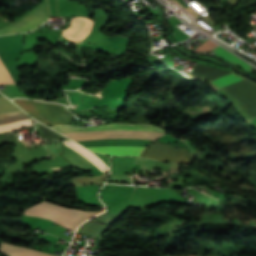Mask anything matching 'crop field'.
Instances as JSON below:
<instances>
[{"label": "crop field", "instance_id": "1", "mask_svg": "<svg viewBox=\"0 0 256 256\" xmlns=\"http://www.w3.org/2000/svg\"><path fill=\"white\" fill-rule=\"evenodd\" d=\"M51 128L60 133L97 131V130H115V129L163 131L155 126L146 125V124H122V123H116L112 125H102L98 127H87V128H76V127H65V126H54ZM98 133H151V134H161V135L165 134L162 132H151V131L116 130V131L68 133L64 135L67 137H71V136H78V135H85V134H98ZM88 149L91 152L103 154L107 156H111V155L139 156V154L143 150V148H132V147H94V148H88Z\"/></svg>", "mask_w": 256, "mask_h": 256}, {"label": "crop field", "instance_id": "2", "mask_svg": "<svg viewBox=\"0 0 256 256\" xmlns=\"http://www.w3.org/2000/svg\"><path fill=\"white\" fill-rule=\"evenodd\" d=\"M100 213L101 212L65 209L48 202H42L26 211H23V214L50 219L63 227L74 230L86 219Z\"/></svg>", "mask_w": 256, "mask_h": 256}, {"label": "crop field", "instance_id": "3", "mask_svg": "<svg viewBox=\"0 0 256 256\" xmlns=\"http://www.w3.org/2000/svg\"><path fill=\"white\" fill-rule=\"evenodd\" d=\"M12 101L42 123L46 122L51 125L63 124L68 126L74 116L61 105L46 104L23 99H15Z\"/></svg>", "mask_w": 256, "mask_h": 256}, {"label": "crop field", "instance_id": "4", "mask_svg": "<svg viewBox=\"0 0 256 256\" xmlns=\"http://www.w3.org/2000/svg\"><path fill=\"white\" fill-rule=\"evenodd\" d=\"M142 156L171 162H183L191 159L188 149L159 142H154L146 148Z\"/></svg>", "mask_w": 256, "mask_h": 256}, {"label": "crop field", "instance_id": "5", "mask_svg": "<svg viewBox=\"0 0 256 256\" xmlns=\"http://www.w3.org/2000/svg\"><path fill=\"white\" fill-rule=\"evenodd\" d=\"M225 89L243 103L251 117L256 116V85L245 79Z\"/></svg>", "mask_w": 256, "mask_h": 256}, {"label": "crop field", "instance_id": "6", "mask_svg": "<svg viewBox=\"0 0 256 256\" xmlns=\"http://www.w3.org/2000/svg\"><path fill=\"white\" fill-rule=\"evenodd\" d=\"M47 21L44 10V2L31 12L27 13L13 24L0 31V34L29 31Z\"/></svg>", "mask_w": 256, "mask_h": 256}, {"label": "crop field", "instance_id": "7", "mask_svg": "<svg viewBox=\"0 0 256 256\" xmlns=\"http://www.w3.org/2000/svg\"><path fill=\"white\" fill-rule=\"evenodd\" d=\"M32 122L20 110L0 114V130ZM12 131V130H10Z\"/></svg>", "mask_w": 256, "mask_h": 256}, {"label": "crop field", "instance_id": "8", "mask_svg": "<svg viewBox=\"0 0 256 256\" xmlns=\"http://www.w3.org/2000/svg\"><path fill=\"white\" fill-rule=\"evenodd\" d=\"M100 187L98 186H83L78 188V198L80 201L94 204V205H102L97 197V193Z\"/></svg>", "mask_w": 256, "mask_h": 256}, {"label": "crop field", "instance_id": "9", "mask_svg": "<svg viewBox=\"0 0 256 256\" xmlns=\"http://www.w3.org/2000/svg\"><path fill=\"white\" fill-rule=\"evenodd\" d=\"M1 250L5 251L10 256H54V255L37 252V251L29 250L26 248L16 247L8 244H4Z\"/></svg>", "mask_w": 256, "mask_h": 256}, {"label": "crop field", "instance_id": "10", "mask_svg": "<svg viewBox=\"0 0 256 256\" xmlns=\"http://www.w3.org/2000/svg\"><path fill=\"white\" fill-rule=\"evenodd\" d=\"M106 229L107 227L101 226L93 222H88L82 225L77 233L100 237Z\"/></svg>", "mask_w": 256, "mask_h": 256}, {"label": "crop field", "instance_id": "11", "mask_svg": "<svg viewBox=\"0 0 256 256\" xmlns=\"http://www.w3.org/2000/svg\"><path fill=\"white\" fill-rule=\"evenodd\" d=\"M245 78H242L240 76H237L233 73L228 74L226 76L220 77L218 79L210 81L211 85L214 87L215 90L225 87L227 85H230L232 83H235L237 81L243 80Z\"/></svg>", "mask_w": 256, "mask_h": 256}, {"label": "crop field", "instance_id": "12", "mask_svg": "<svg viewBox=\"0 0 256 256\" xmlns=\"http://www.w3.org/2000/svg\"><path fill=\"white\" fill-rule=\"evenodd\" d=\"M215 54L247 69L250 71L251 67L250 65H248L247 63H245L244 61L240 60L239 58H237L236 56L232 55L231 53L225 51L224 49L220 48L219 46L216 47L215 49L212 50Z\"/></svg>", "mask_w": 256, "mask_h": 256}, {"label": "crop field", "instance_id": "13", "mask_svg": "<svg viewBox=\"0 0 256 256\" xmlns=\"http://www.w3.org/2000/svg\"><path fill=\"white\" fill-rule=\"evenodd\" d=\"M65 144H68L70 146H72L73 148H75L77 151H79L81 154H83L84 156H86L87 158H89L90 160H92L94 163H96L100 169L104 172L105 170H107V168L104 166V164L98 159L96 158L94 155H92L90 152H88L87 150H85L84 148H82L81 146L77 145L74 142H67L64 141Z\"/></svg>", "mask_w": 256, "mask_h": 256}, {"label": "crop field", "instance_id": "14", "mask_svg": "<svg viewBox=\"0 0 256 256\" xmlns=\"http://www.w3.org/2000/svg\"><path fill=\"white\" fill-rule=\"evenodd\" d=\"M37 129L40 131L41 136L48 137V138H54V139H66L65 137L51 131L50 129L46 128L45 126L37 123Z\"/></svg>", "mask_w": 256, "mask_h": 256}, {"label": "crop field", "instance_id": "15", "mask_svg": "<svg viewBox=\"0 0 256 256\" xmlns=\"http://www.w3.org/2000/svg\"><path fill=\"white\" fill-rule=\"evenodd\" d=\"M119 216H115L112 214L104 213L100 217L96 218L95 220L110 225L113 223Z\"/></svg>", "mask_w": 256, "mask_h": 256}, {"label": "crop field", "instance_id": "16", "mask_svg": "<svg viewBox=\"0 0 256 256\" xmlns=\"http://www.w3.org/2000/svg\"><path fill=\"white\" fill-rule=\"evenodd\" d=\"M1 84H13L5 71L1 61H0V85Z\"/></svg>", "mask_w": 256, "mask_h": 256}, {"label": "crop field", "instance_id": "17", "mask_svg": "<svg viewBox=\"0 0 256 256\" xmlns=\"http://www.w3.org/2000/svg\"><path fill=\"white\" fill-rule=\"evenodd\" d=\"M217 45L215 43H213L211 40H207L205 41L202 45H200L198 48H196L194 51L192 52H197V51H210L211 49H213L214 47H216Z\"/></svg>", "mask_w": 256, "mask_h": 256}, {"label": "crop field", "instance_id": "18", "mask_svg": "<svg viewBox=\"0 0 256 256\" xmlns=\"http://www.w3.org/2000/svg\"><path fill=\"white\" fill-rule=\"evenodd\" d=\"M16 139L15 136L12 137H0V141L13 140Z\"/></svg>", "mask_w": 256, "mask_h": 256}, {"label": "crop field", "instance_id": "19", "mask_svg": "<svg viewBox=\"0 0 256 256\" xmlns=\"http://www.w3.org/2000/svg\"><path fill=\"white\" fill-rule=\"evenodd\" d=\"M250 121L256 126V118L250 119Z\"/></svg>", "mask_w": 256, "mask_h": 256}, {"label": "crop field", "instance_id": "20", "mask_svg": "<svg viewBox=\"0 0 256 256\" xmlns=\"http://www.w3.org/2000/svg\"><path fill=\"white\" fill-rule=\"evenodd\" d=\"M0 97H2V95L0 94Z\"/></svg>", "mask_w": 256, "mask_h": 256}]
</instances>
